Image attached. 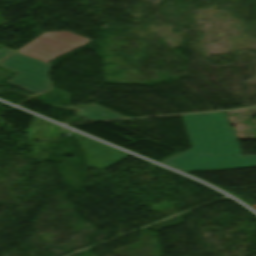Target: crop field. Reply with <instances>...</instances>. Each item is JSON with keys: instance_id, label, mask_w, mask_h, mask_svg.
Segmentation results:
<instances>
[{"instance_id": "obj_1", "label": "crop field", "mask_w": 256, "mask_h": 256, "mask_svg": "<svg viewBox=\"0 0 256 256\" xmlns=\"http://www.w3.org/2000/svg\"><path fill=\"white\" fill-rule=\"evenodd\" d=\"M183 118L192 149L162 163L182 172L256 166V155L242 156L225 112Z\"/></svg>"}, {"instance_id": "obj_2", "label": "crop field", "mask_w": 256, "mask_h": 256, "mask_svg": "<svg viewBox=\"0 0 256 256\" xmlns=\"http://www.w3.org/2000/svg\"><path fill=\"white\" fill-rule=\"evenodd\" d=\"M14 51L8 49L0 50V60ZM1 66L18 72L9 82L33 91L39 95L51 90L48 75L51 65L27 57L18 52L14 53L0 63Z\"/></svg>"}, {"instance_id": "obj_3", "label": "crop field", "mask_w": 256, "mask_h": 256, "mask_svg": "<svg viewBox=\"0 0 256 256\" xmlns=\"http://www.w3.org/2000/svg\"><path fill=\"white\" fill-rule=\"evenodd\" d=\"M89 40L90 39L68 31L48 32L35 39L18 52L48 63Z\"/></svg>"}, {"instance_id": "obj_4", "label": "crop field", "mask_w": 256, "mask_h": 256, "mask_svg": "<svg viewBox=\"0 0 256 256\" xmlns=\"http://www.w3.org/2000/svg\"><path fill=\"white\" fill-rule=\"evenodd\" d=\"M73 135H75L83 145L88 155V165L98 169L103 170L130 155L81 135L75 133H73Z\"/></svg>"}, {"instance_id": "obj_5", "label": "crop field", "mask_w": 256, "mask_h": 256, "mask_svg": "<svg viewBox=\"0 0 256 256\" xmlns=\"http://www.w3.org/2000/svg\"><path fill=\"white\" fill-rule=\"evenodd\" d=\"M60 130L61 127L34 117L30 127L27 130V138L31 140H36L37 137L56 139Z\"/></svg>"}, {"instance_id": "obj_6", "label": "crop field", "mask_w": 256, "mask_h": 256, "mask_svg": "<svg viewBox=\"0 0 256 256\" xmlns=\"http://www.w3.org/2000/svg\"><path fill=\"white\" fill-rule=\"evenodd\" d=\"M80 116L88 118L90 120H106V119H119V118H127L119 113L111 111L109 109L103 108L96 104L88 107L87 109L77 113Z\"/></svg>"}]
</instances>
